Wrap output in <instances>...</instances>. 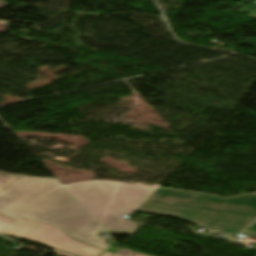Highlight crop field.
<instances>
[{"label": "crop field", "mask_w": 256, "mask_h": 256, "mask_svg": "<svg viewBox=\"0 0 256 256\" xmlns=\"http://www.w3.org/2000/svg\"><path fill=\"white\" fill-rule=\"evenodd\" d=\"M0 214L60 228L70 237L105 250L106 232L56 179L23 176L0 191Z\"/></svg>", "instance_id": "crop-field-1"}, {"label": "crop field", "mask_w": 256, "mask_h": 256, "mask_svg": "<svg viewBox=\"0 0 256 256\" xmlns=\"http://www.w3.org/2000/svg\"><path fill=\"white\" fill-rule=\"evenodd\" d=\"M137 211L175 216L235 235L256 219V193L222 199L159 188Z\"/></svg>", "instance_id": "crop-field-2"}, {"label": "crop field", "mask_w": 256, "mask_h": 256, "mask_svg": "<svg viewBox=\"0 0 256 256\" xmlns=\"http://www.w3.org/2000/svg\"><path fill=\"white\" fill-rule=\"evenodd\" d=\"M64 186L108 233L120 234L138 228L122 215L133 214L155 191L102 180Z\"/></svg>", "instance_id": "crop-field-3"}, {"label": "crop field", "mask_w": 256, "mask_h": 256, "mask_svg": "<svg viewBox=\"0 0 256 256\" xmlns=\"http://www.w3.org/2000/svg\"><path fill=\"white\" fill-rule=\"evenodd\" d=\"M0 233L38 241L79 256H97L103 251L70 238L56 227L23 218L14 221L0 215Z\"/></svg>", "instance_id": "crop-field-4"}, {"label": "crop field", "mask_w": 256, "mask_h": 256, "mask_svg": "<svg viewBox=\"0 0 256 256\" xmlns=\"http://www.w3.org/2000/svg\"><path fill=\"white\" fill-rule=\"evenodd\" d=\"M20 177L21 175L0 172V190Z\"/></svg>", "instance_id": "crop-field-5"}, {"label": "crop field", "mask_w": 256, "mask_h": 256, "mask_svg": "<svg viewBox=\"0 0 256 256\" xmlns=\"http://www.w3.org/2000/svg\"><path fill=\"white\" fill-rule=\"evenodd\" d=\"M113 256H147L133 251L120 248Z\"/></svg>", "instance_id": "crop-field-6"}, {"label": "crop field", "mask_w": 256, "mask_h": 256, "mask_svg": "<svg viewBox=\"0 0 256 256\" xmlns=\"http://www.w3.org/2000/svg\"><path fill=\"white\" fill-rule=\"evenodd\" d=\"M245 232L256 235V222L245 230Z\"/></svg>", "instance_id": "crop-field-7"}, {"label": "crop field", "mask_w": 256, "mask_h": 256, "mask_svg": "<svg viewBox=\"0 0 256 256\" xmlns=\"http://www.w3.org/2000/svg\"><path fill=\"white\" fill-rule=\"evenodd\" d=\"M116 183H121V182H116ZM122 184H128V185H133V186H138V187H143V188H159L160 186H147V185H141V184H132V183H122Z\"/></svg>", "instance_id": "crop-field-8"}, {"label": "crop field", "mask_w": 256, "mask_h": 256, "mask_svg": "<svg viewBox=\"0 0 256 256\" xmlns=\"http://www.w3.org/2000/svg\"><path fill=\"white\" fill-rule=\"evenodd\" d=\"M5 4L0 2V7L4 6ZM8 25L0 24V33H5Z\"/></svg>", "instance_id": "crop-field-9"}, {"label": "crop field", "mask_w": 256, "mask_h": 256, "mask_svg": "<svg viewBox=\"0 0 256 256\" xmlns=\"http://www.w3.org/2000/svg\"><path fill=\"white\" fill-rule=\"evenodd\" d=\"M54 255H58V256H71V255H68V254H65V253H61V252H58V251H55L53 252Z\"/></svg>", "instance_id": "crop-field-10"}, {"label": "crop field", "mask_w": 256, "mask_h": 256, "mask_svg": "<svg viewBox=\"0 0 256 256\" xmlns=\"http://www.w3.org/2000/svg\"><path fill=\"white\" fill-rule=\"evenodd\" d=\"M112 253L105 251L101 256H111Z\"/></svg>", "instance_id": "crop-field-11"}]
</instances>
